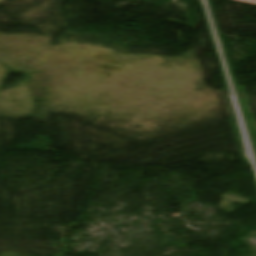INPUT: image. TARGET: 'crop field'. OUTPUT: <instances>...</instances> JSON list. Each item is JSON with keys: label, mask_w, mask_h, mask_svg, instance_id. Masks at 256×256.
<instances>
[{"label": "crop field", "mask_w": 256, "mask_h": 256, "mask_svg": "<svg viewBox=\"0 0 256 256\" xmlns=\"http://www.w3.org/2000/svg\"><path fill=\"white\" fill-rule=\"evenodd\" d=\"M233 1H237V2H241V3H245V4H250V5L256 6V0H233Z\"/></svg>", "instance_id": "crop-field-1"}, {"label": "crop field", "mask_w": 256, "mask_h": 256, "mask_svg": "<svg viewBox=\"0 0 256 256\" xmlns=\"http://www.w3.org/2000/svg\"><path fill=\"white\" fill-rule=\"evenodd\" d=\"M5 0H0V2H4Z\"/></svg>", "instance_id": "crop-field-2"}]
</instances>
